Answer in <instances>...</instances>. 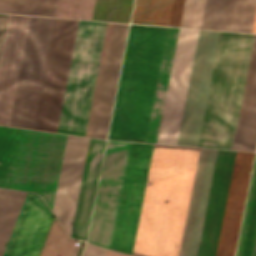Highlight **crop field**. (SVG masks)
Returning a JSON list of instances; mask_svg holds the SVG:
<instances>
[{"mask_svg": "<svg viewBox=\"0 0 256 256\" xmlns=\"http://www.w3.org/2000/svg\"><path fill=\"white\" fill-rule=\"evenodd\" d=\"M255 35L221 32L199 144L232 149ZM256 144V37L233 149Z\"/></svg>", "mask_w": 256, "mask_h": 256, "instance_id": "1", "label": "crop field"}, {"mask_svg": "<svg viewBox=\"0 0 256 256\" xmlns=\"http://www.w3.org/2000/svg\"><path fill=\"white\" fill-rule=\"evenodd\" d=\"M200 150L154 144L133 255L180 256Z\"/></svg>", "mask_w": 256, "mask_h": 256, "instance_id": "2", "label": "crop field"}, {"mask_svg": "<svg viewBox=\"0 0 256 256\" xmlns=\"http://www.w3.org/2000/svg\"><path fill=\"white\" fill-rule=\"evenodd\" d=\"M130 143L108 141L87 241L110 246ZM153 144L131 143L111 249L132 252Z\"/></svg>", "mask_w": 256, "mask_h": 256, "instance_id": "3", "label": "crop field"}, {"mask_svg": "<svg viewBox=\"0 0 256 256\" xmlns=\"http://www.w3.org/2000/svg\"><path fill=\"white\" fill-rule=\"evenodd\" d=\"M199 30L180 28L157 143L176 145ZM220 32L200 30L177 145L197 146Z\"/></svg>", "mask_w": 256, "mask_h": 256, "instance_id": "4", "label": "crop field"}, {"mask_svg": "<svg viewBox=\"0 0 256 256\" xmlns=\"http://www.w3.org/2000/svg\"><path fill=\"white\" fill-rule=\"evenodd\" d=\"M166 29L131 24L108 139L144 142Z\"/></svg>", "mask_w": 256, "mask_h": 256, "instance_id": "5", "label": "crop field"}, {"mask_svg": "<svg viewBox=\"0 0 256 256\" xmlns=\"http://www.w3.org/2000/svg\"><path fill=\"white\" fill-rule=\"evenodd\" d=\"M254 153L218 150L197 256H234Z\"/></svg>", "mask_w": 256, "mask_h": 256, "instance_id": "6", "label": "crop field"}, {"mask_svg": "<svg viewBox=\"0 0 256 256\" xmlns=\"http://www.w3.org/2000/svg\"><path fill=\"white\" fill-rule=\"evenodd\" d=\"M106 25L78 22L57 132L84 136Z\"/></svg>", "mask_w": 256, "mask_h": 256, "instance_id": "7", "label": "crop field"}, {"mask_svg": "<svg viewBox=\"0 0 256 256\" xmlns=\"http://www.w3.org/2000/svg\"><path fill=\"white\" fill-rule=\"evenodd\" d=\"M65 137L22 129L10 188L37 192L52 208Z\"/></svg>", "mask_w": 256, "mask_h": 256, "instance_id": "8", "label": "crop field"}, {"mask_svg": "<svg viewBox=\"0 0 256 256\" xmlns=\"http://www.w3.org/2000/svg\"><path fill=\"white\" fill-rule=\"evenodd\" d=\"M77 22L55 20L33 129L56 132Z\"/></svg>", "mask_w": 256, "mask_h": 256, "instance_id": "9", "label": "crop field"}, {"mask_svg": "<svg viewBox=\"0 0 256 256\" xmlns=\"http://www.w3.org/2000/svg\"><path fill=\"white\" fill-rule=\"evenodd\" d=\"M54 20L31 18L10 126L33 127Z\"/></svg>", "mask_w": 256, "mask_h": 256, "instance_id": "10", "label": "crop field"}, {"mask_svg": "<svg viewBox=\"0 0 256 256\" xmlns=\"http://www.w3.org/2000/svg\"><path fill=\"white\" fill-rule=\"evenodd\" d=\"M112 25L113 23H108L107 25L97 80L95 84V89H94V94H93V99H92V104H91V109H90V114H89L86 134H85V136H88V137H90L91 135V130L93 125ZM127 26L128 24H122V23H114L113 25V30H112V35H111V40H110V45H109V50H108V55H107V60H106V65H105V70H104V75H103V80H102V85H101V90H100V95H99L91 137H97V138H103V139H105L106 137Z\"/></svg>", "mask_w": 256, "mask_h": 256, "instance_id": "11", "label": "crop field"}, {"mask_svg": "<svg viewBox=\"0 0 256 256\" xmlns=\"http://www.w3.org/2000/svg\"><path fill=\"white\" fill-rule=\"evenodd\" d=\"M89 138L67 135L52 211L70 235Z\"/></svg>", "mask_w": 256, "mask_h": 256, "instance_id": "12", "label": "crop field"}, {"mask_svg": "<svg viewBox=\"0 0 256 256\" xmlns=\"http://www.w3.org/2000/svg\"><path fill=\"white\" fill-rule=\"evenodd\" d=\"M31 16L10 15L0 62V125L10 114Z\"/></svg>", "mask_w": 256, "mask_h": 256, "instance_id": "13", "label": "crop field"}, {"mask_svg": "<svg viewBox=\"0 0 256 256\" xmlns=\"http://www.w3.org/2000/svg\"><path fill=\"white\" fill-rule=\"evenodd\" d=\"M52 217L43 200L28 192L2 256H37Z\"/></svg>", "mask_w": 256, "mask_h": 256, "instance_id": "14", "label": "crop field"}, {"mask_svg": "<svg viewBox=\"0 0 256 256\" xmlns=\"http://www.w3.org/2000/svg\"><path fill=\"white\" fill-rule=\"evenodd\" d=\"M216 152L201 150L181 256H196Z\"/></svg>", "mask_w": 256, "mask_h": 256, "instance_id": "15", "label": "crop field"}, {"mask_svg": "<svg viewBox=\"0 0 256 256\" xmlns=\"http://www.w3.org/2000/svg\"><path fill=\"white\" fill-rule=\"evenodd\" d=\"M105 141L90 138L73 223V238H86Z\"/></svg>", "mask_w": 256, "mask_h": 256, "instance_id": "16", "label": "crop field"}, {"mask_svg": "<svg viewBox=\"0 0 256 256\" xmlns=\"http://www.w3.org/2000/svg\"><path fill=\"white\" fill-rule=\"evenodd\" d=\"M179 28L168 27L145 142L156 143Z\"/></svg>", "mask_w": 256, "mask_h": 256, "instance_id": "17", "label": "crop field"}, {"mask_svg": "<svg viewBox=\"0 0 256 256\" xmlns=\"http://www.w3.org/2000/svg\"><path fill=\"white\" fill-rule=\"evenodd\" d=\"M255 10L256 0H227L221 30L251 32ZM252 32L256 33V15Z\"/></svg>", "mask_w": 256, "mask_h": 256, "instance_id": "18", "label": "crop field"}, {"mask_svg": "<svg viewBox=\"0 0 256 256\" xmlns=\"http://www.w3.org/2000/svg\"><path fill=\"white\" fill-rule=\"evenodd\" d=\"M27 192L0 188V256Z\"/></svg>", "mask_w": 256, "mask_h": 256, "instance_id": "19", "label": "crop field"}, {"mask_svg": "<svg viewBox=\"0 0 256 256\" xmlns=\"http://www.w3.org/2000/svg\"><path fill=\"white\" fill-rule=\"evenodd\" d=\"M21 129L0 126V186H10Z\"/></svg>", "mask_w": 256, "mask_h": 256, "instance_id": "20", "label": "crop field"}, {"mask_svg": "<svg viewBox=\"0 0 256 256\" xmlns=\"http://www.w3.org/2000/svg\"><path fill=\"white\" fill-rule=\"evenodd\" d=\"M172 0H136L131 23L167 26Z\"/></svg>", "mask_w": 256, "mask_h": 256, "instance_id": "21", "label": "crop field"}, {"mask_svg": "<svg viewBox=\"0 0 256 256\" xmlns=\"http://www.w3.org/2000/svg\"><path fill=\"white\" fill-rule=\"evenodd\" d=\"M206 0H173L168 26L200 28Z\"/></svg>", "mask_w": 256, "mask_h": 256, "instance_id": "22", "label": "crop field"}, {"mask_svg": "<svg viewBox=\"0 0 256 256\" xmlns=\"http://www.w3.org/2000/svg\"><path fill=\"white\" fill-rule=\"evenodd\" d=\"M77 240L68 238L54 220L40 256H71Z\"/></svg>", "mask_w": 256, "mask_h": 256, "instance_id": "23", "label": "crop field"}, {"mask_svg": "<svg viewBox=\"0 0 256 256\" xmlns=\"http://www.w3.org/2000/svg\"><path fill=\"white\" fill-rule=\"evenodd\" d=\"M95 0H58L54 16L91 19Z\"/></svg>", "mask_w": 256, "mask_h": 256, "instance_id": "24", "label": "crop field"}, {"mask_svg": "<svg viewBox=\"0 0 256 256\" xmlns=\"http://www.w3.org/2000/svg\"><path fill=\"white\" fill-rule=\"evenodd\" d=\"M240 256H256V180Z\"/></svg>", "mask_w": 256, "mask_h": 256, "instance_id": "25", "label": "crop field"}, {"mask_svg": "<svg viewBox=\"0 0 256 256\" xmlns=\"http://www.w3.org/2000/svg\"><path fill=\"white\" fill-rule=\"evenodd\" d=\"M56 0H13L10 13L53 16Z\"/></svg>", "mask_w": 256, "mask_h": 256, "instance_id": "26", "label": "crop field"}, {"mask_svg": "<svg viewBox=\"0 0 256 256\" xmlns=\"http://www.w3.org/2000/svg\"><path fill=\"white\" fill-rule=\"evenodd\" d=\"M226 0H207L201 28L220 30Z\"/></svg>", "mask_w": 256, "mask_h": 256, "instance_id": "27", "label": "crop field"}, {"mask_svg": "<svg viewBox=\"0 0 256 256\" xmlns=\"http://www.w3.org/2000/svg\"><path fill=\"white\" fill-rule=\"evenodd\" d=\"M9 15L0 14V57Z\"/></svg>", "mask_w": 256, "mask_h": 256, "instance_id": "28", "label": "crop field"}, {"mask_svg": "<svg viewBox=\"0 0 256 256\" xmlns=\"http://www.w3.org/2000/svg\"><path fill=\"white\" fill-rule=\"evenodd\" d=\"M12 0H0V12L9 13Z\"/></svg>", "mask_w": 256, "mask_h": 256, "instance_id": "29", "label": "crop field"}, {"mask_svg": "<svg viewBox=\"0 0 256 256\" xmlns=\"http://www.w3.org/2000/svg\"><path fill=\"white\" fill-rule=\"evenodd\" d=\"M103 256H130V255H125V254H121V253H116L113 252L111 250H105L104 255Z\"/></svg>", "mask_w": 256, "mask_h": 256, "instance_id": "30", "label": "crop field"}, {"mask_svg": "<svg viewBox=\"0 0 256 256\" xmlns=\"http://www.w3.org/2000/svg\"><path fill=\"white\" fill-rule=\"evenodd\" d=\"M80 246L76 245L75 249H74V252L72 254V256H76L77 252H78V249H79Z\"/></svg>", "mask_w": 256, "mask_h": 256, "instance_id": "31", "label": "crop field"}]
</instances>
